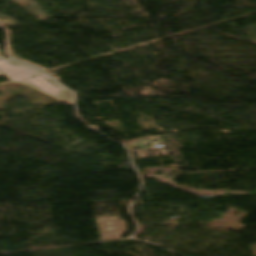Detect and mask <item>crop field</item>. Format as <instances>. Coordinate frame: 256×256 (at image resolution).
<instances>
[{
	"mask_svg": "<svg viewBox=\"0 0 256 256\" xmlns=\"http://www.w3.org/2000/svg\"><path fill=\"white\" fill-rule=\"evenodd\" d=\"M19 82L24 83L34 89H37L47 95H50L60 101L70 100L68 97H66L63 94V92L59 91L58 89H56L54 86H52L51 84H49L39 76L26 79L23 81H19Z\"/></svg>",
	"mask_w": 256,
	"mask_h": 256,
	"instance_id": "crop-field-2",
	"label": "crop field"
},
{
	"mask_svg": "<svg viewBox=\"0 0 256 256\" xmlns=\"http://www.w3.org/2000/svg\"><path fill=\"white\" fill-rule=\"evenodd\" d=\"M0 70L5 74L12 82L23 80L26 78H30L33 76H41L46 81L54 85L59 90L63 91L65 95H67L69 98H71V94L68 90H66L64 87L56 84L54 81H52L48 76H46L44 73L36 70L35 68L28 66L26 64L20 63L18 61L12 60L10 58H3L0 59ZM72 99V98H71Z\"/></svg>",
	"mask_w": 256,
	"mask_h": 256,
	"instance_id": "crop-field-1",
	"label": "crop field"
}]
</instances>
